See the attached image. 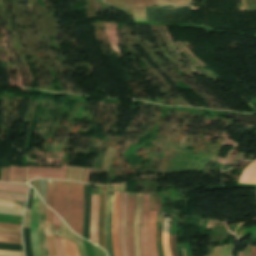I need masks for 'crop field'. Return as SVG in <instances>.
I'll list each match as a JSON object with an SVG mask.
<instances>
[{
    "mask_svg": "<svg viewBox=\"0 0 256 256\" xmlns=\"http://www.w3.org/2000/svg\"><path fill=\"white\" fill-rule=\"evenodd\" d=\"M83 188L84 184L58 180H48L47 185V205L80 236L83 225Z\"/></svg>",
    "mask_w": 256,
    "mask_h": 256,
    "instance_id": "obj_1",
    "label": "crop field"
},
{
    "mask_svg": "<svg viewBox=\"0 0 256 256\" xmlns=\"http://www.w3.org/2000/svg\"><path fill=\"white\" fill-rule=\"evenodd\" d=\"M101 3L132 14L134 21H146V6H190L191 0H101Z\"/></svg>",
    "mask_w": 256,
    "mask_h": 256,
    "instance_id": "obj_2",
    "label": "crop field"
},
{
    "mask_svg": "<svg viewBox=\"0 0 256 256\" xmlns=\"http://www.w3.org/2000/svg\"><path fill=\"white\" fill-rule=\"evenodd\" d=\"M67 167L63 168H45V167H28V181L33 178H54L63 179L66 177Z\"/></svg>",
    "mask_w": 256,
    "mask_h": 256,
    "instance_id": "obj_3",
    "label": "crop field"
},
{
    "mask_svg": "<svg viewBox=\"0 0 256 256\" xmlns=\"http://www.w3.org/2000/svg\"><path fill=\"white\" fill-rule=\"evenodd\" d=\"M119 210H120V192H114L113 200V218H112V243L115 256H121L119 250L118 242V220H119Z\"/></svg>",
    "mask_w": 256,
    "mask_h": 256,
    "instance_id": "obj_4",
    "label": "crop field"
},
{
    "mask_svg": "<svg viewBox=\"0 0 256 256\" xmlns=\"http://www.w3.org/2000/svg\"><path fill=\"white\" fill-rule=\"evenodd\" d=\"M149 217V194H144L143 213L141 217V250L142 256H149L147 249V221Z\"/></svg>",
    "mask_w": 256,
    "mask_h": 256,
    "instance_id": "obj_5",
    "label": "crop field"
},
{
    "mask_svg": "<svg viewBox=\"0 0 256 256\" xmlns=\"http://www.w3.org/2000/svg\"><path fill=\"white\" fill-rule=\"evenodd\" d=\"M134 200L135 193H128V209L126 218V232L129 256H134L133 240H132V220L134 216Z\"/></svg>",
    "mask_w": 256,
    "mask_h": 256,
    "instance_id": "obj_6",
    "label": "crop field"
},
{
    "mask_svg": "<svg viewBox=\"0 0 256 256\" xmlns=\"http://www.w3.org/2000/svg\"><path fill=\"white\" fill-rule=\"evenodd\" d=\"M105 191H106V188L100 186V203H99V219H98V243H99L100 247H103L106 250L105 239H104Z\"/></svg>",
    "mask_w": 256,
    "mask_h": 256,
    "instance_id": "obj_7",
    "label": "crop field"
},
{
    "mask_svg": "<svg viewBox=\"0 0 256 256\" xmlns=\"http://www.w3.org/2000/svg\"><path fill=\"white\" fill-rule=\"evenodd\" d=\"M98 203H99V195H92L90 236H91V242L95 243L96 245H98L97 243Z\"/></svg>",
    "mask_w": 256,
    "mask_h": 256,
    "instance_id": "obj_8",
    "label": "crop field"
},
{
    "mask_svg": "<svg viewBox=\"0 0 256 256\" xmlns=\"http://www.w3.org/2000/svg\"><path fill=\"white\" fill-rule=\"evenodd\" d=\"M52 217L53 212L47 208L46 210V236L48 241L49 253L50 256H56V248L52 231Z\"/></svg>",
    "mask_w": 256,
    "mask_h": 256,
    "instance_id": "obj_9",
    "label": "crop field"
},
{
    "mask_svg": "<svg viewBox=\"0 0 256 256\" xmlns=\"http://www.w3.org/2000/svg\"><path fill=\"white\" fill-rule=\"evenodd\" d=\"M156 211H150L148 222V248L150 256H157L154 243Z\"/></svg>",
    "mask_w": 256,
    "mask_h": 256,
    "instance_id": "obj_10",
    "label": "crop field"
},
{
    "mask_svg": "<svg viewBox=\"0 0 256 256\" xmlns=\"http://www.w3.org/2000/svg\"><path fill=\"white\" fill-rule=\"evenodd\" d=\"M53 231H54V237L56 242V248H57V256H64L63 247L60 240V223L61 219L54 214L53 217Z\"/></svg>",
    "mask_w": 256,
    "mask_h": 256,
    "instance_id": "obj_11",
    "label": "crop field"
},
{
    "mask_svg": "<svg viewBox=\"0 0 256 256\" xmlns=\"http://www.w3.org/2000/svg\"><path fill=\"white\" fill-rule=\"evenodd\" d=\"M26 168L10 166L9 182H25Z\"/></svg>",
    "mask_w": 256,
    "mask_h": 256,
    "instance_id": "obj_12",
    "label": "crop field"
},
{
    "mask_svg": "<svg viewBox=\"0 0 256 256\" xmlns=\"http://www.w3.org/2000/svg\"><path fill=\"white\" fill-rule=\"evenodd\" d=\"M0 190L7 191V192H13V193L27 194L28 185L27 184L0 183Z\"/></svg>",
    "mask_w": 256,
    "mask_h": 256,
    "instance_id": "obj_13",
    "label": "crop field"
},
{
    "mask_svg": "<svg viewBox=\"0 0 256 256\" xmlns=\"http://www.w3.org/2000/svg\"><path fill=\"white\" fill-rule=\"evenodd\" d=\"M62 243H63L66 256H78L75 244L64 239H62Z\"/></svg>",
    "mask_w": 256,
    "mask_h": 256,
    "instance_id": "obj_14",
    "label": "crop field"
},
{
    "mask_svg": "<svg viewBox=\"0 0 256 256\" xmlns=\"http://www.w3.org/2000/svg\"><path fill=\"white\" fill-rule=\"evenodd\" d=\"M26 197L24 195H18V194H12V193H6V192H0V199L3 200H11V201H26Z\"/></svg>",
    "mask_w": 256,
    "mask_h": 256,
    "instance_id": "obj_15",
    "label": "crop field"
},
{
    "mask_svg": "<svg viewBox=\"0 0 256 256\" xmlns=\"http://www.w3.org/2000/svg\"><path fill=\"white\" fill-rule=\"evenodd\" d=\"M161 225H157L156 224V237H155V241H156V247H157V253L158 256H164L163 255V251H162V247H161Z\"/></svg>",
    "mask_w": 256,
    "mask_h": 256,
    "instance_id": "obj_16",
    "label": "crop field"
},
{
    "mask_svg": "<svg viewBox=\"0 0 256 256\" xmlns=\"http://www.w3.org/2000/svg\"><path fill=\"white\" fill-rule=\"evenodd\" d=\"M168 237H169V233H162V246H163L165 256H171Z\"/></svg>",
    "mask_w": 256,
    "mask_h": 256,
    "instance_id": "obj_17",
    "label": "crop field"
},
{
    "mask_svg": "<svg viewBox=\"0 0 256 256\" xmlns=\"http://www.w3.org/2000/svg\"><path fill=\"white\" fill-rule=\"evenodd\" d=\"M46 185H47V180L40 179V196L45 203H46Z\"/></svg>",
    "mask_w": 256,
    "mask_h": 256,
    "instance_id": "obj_18",
    "label": "crop field"
},
{
    "mask_svg": "<svg viewBox=\"0 0 256 256\" xmlns=\"http://www.w3.org/2000/svg\"><path fill=\"white\" fill-rule=\"evenodd\" d=\"M0 242L22 244L21 238L0 237Z\"/></svg>",
    "mask_w": 256,
    "mask_h": 256,
    "instance_id": "obj_19",
    "label": "crop field"
},
{
    "mask_svg": "<svg viewBox=\"0 0 256 256\" xmlns=\"http://www.w3.org/2000/svg\"><path fill=\"white\" fill-rule=\"evenodd\" d=\"M0 256H24V254L18 251H0Z\"/></svg>",
    "mask_w": 256,
    "mask_h": 256,
    "instance_id": "obj_20",
    "label": "crop field"
},
{
    "mask_svg": "<svg viewBox=\"0 0 256 256\" xmlns=\"http://www.w3.org/2000/svg\"><path fill=\"white\" fill-rule=\"evenodd\" d=\"M0 203H2V204H10V205H19V204H18V203H16V202L3 201V200H0ZM2 204H0V206L24 209L22 206H10V205H2Z\"/></svg>",
    "mask_w": 256,
    "mask_h": 256,
    "instance_id": "obj_21",
    "label": "crop field"
},
{
    "mask_svg": "<svg viewBox=\"0 0 256 256\" xmlns=\"http://www.w3.org/2000/svg\"><path fill=\"white\" fill-rule=\"evenodd\" d=\"M0 228L21 230V226L11 225L6 223H0Z\"/></svg>",
    "mask_w": 256,
    "mask_h": 256,
    "instance_id": "obj_22",
    "label": "crop field"
},
{
    "mask_svg": "<svg viewBox=\"0 0 256 256\" xmlns=\"http://www.w3.org/2000/svg\"><path fill=\"white\" fill-rule=\"evenodd\" d=\"M2 231H10V232H18V231H12V230H4V229H0ZM0 231V234H5V235H14V236H19L21 237V234H18V233H21V232H18V233H10V232H2ZM5 235H0V236H5ZM14 236H11V237H14Z\"/></svg>",
    "mask_w": 256,
    "mask_h": 256,
    "instance_id": "obj_23",
    "label": "crop field"
},
{
    "mask_svg": "<svg viewBox=\"0 0 256 256\" xmlns=\"http://www.w3.org/2000/svg\"><path fill=\"white\" fill-rule=\"evenodd\" d=\"M252 256H256V247H251Z\"/></svg>",
    "mask_w": 256,
    "mask_h": 256,
    "instance_id": "obj_24",
    "label": "crop field"
}]
</instances>
